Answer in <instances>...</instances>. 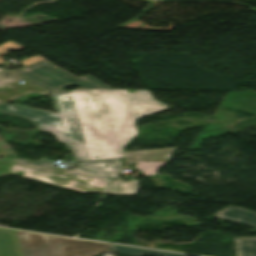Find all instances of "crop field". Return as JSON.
Segmentation results:
<instances>
[{
    "mask_svg": "<svg viewBox=\"0 0 256 256\" xmlns=\"http://www.w3.org/2000/svg\"><path fill=\"white\" fill-rule=\"evenodd\" d=\"M0 256H23L13 231L0 229Z\"/></svg>",
    "mask_w": 256,
    "mask_h": 256,
    "instance_id": "d8731c3e",
    "label": "crop field"
},
{
    "mask_svg": "<svg viewBox=\"0 0 256 256\" xmlns=\"http://www.w3.org/2000/svg\"><path fill=\"white\" fill-rule=\"evenodd\" d=\"M20 80L19 78L11 75L10 73L4 71V72H0V87L5 85V84H9L11 82ZM0 104H3V102H0Z\"/></svg>",
    "mask_w": 256,
    "mask_h": 256,
    "instance_id": "22f410ed",
    "label": "crop field"
},
{
    "mask_svg": "<svg viewBox=\"0 0 256 256\" xmlns=\"http://www.w3.org/2000/svg\"><path fill=\"white\" fill-rule=\"evenodd\" d=\"M9 85H11L12 88L4 87L2 89L4 91L0 90V100L3 101L4 103H7V101L14 99L16 95L28 93V92H38L43 95L52 94L39 86H31L29 83L23 84L25 86L24 88H22L23 87L22 85H18L17 82H14ZM14 85H17V87H14Z\"/></svg>",
    "mask_w": 256,
    "mask_h": 256,
    "instance_id": "5a996713",
    "label": "crop field"
},
{
    "mask_svg": "<svg viewBox=\"0 0 256 256\" xmlns=\"http://www.w3.org/2000/svg\"><path fill=\"white\" fill-rule=\"evenodd\" d=\"M78 168L97 175L105 180H118L120 172V161L119 159H111L98 162H81L77 163ZM88 164V165H85ZM106 165H109L106 167Z\"/></svg>",
    "mask_w": 256,
    "mask_h": 256,
    "instance_id": "e52e79f7",
    "label": "crop field"
},
{
    "mask_svg": "<svg viewBox=\"0 0 256 256\" xmlns=\"http://www.w3.org/2000/svg\"><path fill=\"white\" fill-rule=\"evenodd\" d=\"M21 48H22V46L14 43L12 41L6 42V43L0 45V56L6 54L7 53L6 51L9 50V49L17 51V50H19ZM2 63H5V61L0 59V64H2Z\"/></svg>",
    "mask_w": 256,
    "mask_h": 256,
    "instance_id": "d1516ede",
    "label": "crop field"
},
{
    "mask_svg": "<svg viewBox=\"0 0 256 256\" xmlns=\"http://www.w3.org/2000/svg\"><path fill=\"white\" fill-rule=\"evenodd\" d=\"M5 153H7V152L0 150V156H2Z\"/></svg>",
    "mask_w": 256,
    "mask_h": 256,
    "instance_id": "5142ce71",
    "label": "crop field"
},
{
    "mask_svg": "<svg viewBox=\"0 0 256 256\" xmlns=\"http://www.w3.org/2000/svg\"><path fill=\"white\" fill-rule=\"evenodd\" d=\"M0 71H3V69L0 68Z\"/></svg>",
    "mask_w": 256,
    "mask_h": 256,
    "instance_id": "d9b57169",
    "label": "crop field"
},
{
    "mask_svg": "<svg viewBox=\"0 0 256 256\" xmlns=\"http://www.w3.org/2000/svg\"><path fill=\"white\" fill-rule=\"evenodd\" d=\"M52 96L57 114L9 104L0 105V112L22 115L39 130L54 133L77 162L124 157L121 148L137 134L134 121L167 110L145 90H76Z\"/></svg>",
    "mask_w": 256,
    "mask_h": 256,
    "instance_id": "8a807250",
    "label": "crop field"
},
{
    "mask_svg": "<svg viewBox=\"0 0 256 256\" xmlns=\"http://www.w3.org/2000/svg\"><path fill=\"white\" fill-rule=\"evenodd\" d=\"M24 256H94L108 244L14 231Z\"/></svg>",
    "mask_w": 256,
    "mask_h": 256,
    "instance_id": "ac0d7876",
    "label": "crop field"
},
{
    "mask_svg": "<svg viewBox=\"0 0 256 256\" xmlns=\"http://www.w3.org/2000/svg\"><path fill=\"white\" fill-rule=\"evenodd\" d=\"M177 148L124 152L127 162H137L135 167L146 175H155L158 169L168 163Z\"/></svg>",
    "mask_w": 256,
    "mask_h": 256,
    "instance_id": "dd49c442",
    "label": "crop field"
},
{
    "mask_svg": "<svg viewBox=\"0 0 256 256\" xmlns=\"http://www.w3.org/2000/svg\"><path fill=\"white\" fill-rule=\"evenodd\" d=\"M42 59L44 58L37 55L20 61V63L25 66ZM9 71L52 93L64 91L67 86L71 85H78L82 89H112L90 75L77 78L62 69H56L52 63L45 59L34 65Z\"/></svg>",
    "mask_w": 256,
    "mask_h": 256,
    "instance_id": "34b2d1b8",
    "label": "crop field"
},
{
    "mask_svg": "<svg viewBox=\"0 0 256 256\" xmlns=\"http://www.w3.org/2000/svg\"><path fill=\"white\" fill-rule=\"evenodd\" d=\"M137 188V180L130 182H110L108 183V194H121V195H132L135 193Z\"/></svg>",
    "mask_w": 256,
    "mask_h": 256,
    "instance_id": "28ad6ade",
    "label": "crop field"
},
{
    "mask_svg": "<svg viewBox=\"0 0 256 256\" xmlns=\"http://www.w3.org/2000/svg\"><path fill=\"white\" fill-rule=\"evenodd\" d=\"M112 248H113V252L115 253H120V254H125L130 256H140L142 254L154 255V256H184L181 254L159 252V251L124 247V246H117V245H112Z\"/></svg>",
    "mask_w": 256,
    "mask_h": 256,
    "instance_id": "3316defc",
    "label": "crop field"
},
{
    "mask_svg": "<svg viewBox=\"0 0 256 256\" xmlns=\"http://www.w3.org/2000/svg\"><path fill=\"white\" fill-rule=\"evenodd\" d=\"M15 161H17V162H23V163H29V164H35V165H41V166H43V164H46L47 167H52V168H56V169H63V170H65L64 168L53 166V165H52V161H50V160H45V159H41V160L38 161V162H30V161L19 160V159H16Z\"/></svg>",
    "mask_w": 256,
    "mask_h": 256,
    "instance_id": "cbeb9de0",
    "label": "crop field"
},
{
    "mask_svg": "<svg viewBox=\"0 0 256 256\" xmlns=\"http://www.w3.org/2000/svg\"><path fill=\"white\" fill-rule=\"evenodd\" d=\"M17 171L24 172V174L16 173ZM9 173L55 184L83 193H103L105 186L104 180L95 178L77 169L73 171H58L13 162Z\"/></svg>",
    "mask_w": 256,
    "mask_h": 256,
    "instance_id": "412701ff",
    "label": "crop field"
},
{
    "mask_svg": "<svg viewBox=\"0 0 256 256\" xmlns=\"http://www.w3.org/2000/svg\"><path fill=\"white\" fill-rule=\"evenodd\" d=\"M213 217L256 228V212L228 206ZM236 256H256V237H234Z\"/></svg>",
    "mask_w": 256,
    "mask_h": 256,
    "instance_id": "f4fd0767",
    "label": "crop field"
}]
</instances>
